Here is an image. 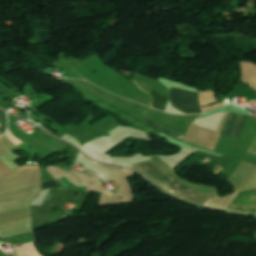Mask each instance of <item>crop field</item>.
Wrapping results in <instances>:
<instances>
[{"instance_id": "crop-field-5", "label": "crop field", "mask_w": 256, "mask_h": 256, "mask_svg": "<svg viewBox=\"0 0 256 256\" xmlns=\"http://www.w3.org/2000/svg\"><path fill=\"white\" fill-rule=\"evenodd\" d=\"M175 194L186 200L205 204V205H207L210 201L219 198V197L211 196V195L193 191V190L179 191Z\"/></svg>"}, {"instance_id": "crop-field-3", "label": "crop field", "mask_w": 256, "mask_h": 256, "mask_svg": "<svg viewBox=\"0 0 256 256\" xmlns=\"http://www.w3.org/2000/svg\"><path fill=\"white\" fill-rule=\"evenodd\" d=\"M255 196L256 190L241 192L228 208L245 211ZM246 211L256 213V198Z\"/></svg>"}, {"instance_id": "crop-field-1", "label": "crop field", "mask_w": 256, "mask_h": 256, "mask_svg": "<svg viewBox=\"0 0 256 256\" xmlns=\"http://www.w3.org/2000/svg\"><path fill=\"white\" fill-rule=\"evenodd\" d=\"M170 101L186 114L199 113L198 93L170 88Z\"/></svg>"}, {"instance_id": "crop-field-6", "label": "crop field", "mask_w": 256, "mask_h": 256, "mask_svg": "<svg viewBox=\"0 0 256 256\" xmlns=\"http://www.w3.org/2000/svg\"><path fill=\"white\" fill-rule=\"evenodd\" d=\"M14 251L17 256H41L37 252L34 243L26 244L24 246H15Z\"/></svg>"}, {"instance_id": "crop-field-2", "label": "crop field", "mask_w": 256, "mask_h": 256, "mask_svg": "<svg viewBox=\"0 0 256 256\" xmlns=\"http://www.w3.org/2000/svg\"><path fill=\"white\" fill-rule=\"evenodd\" d=\"M134 167L140 170L141 172L145 173L146 175H148L160 186H162L164 189L172 193L182 189H188L178 184L177 182H175L174 180H172L171 178H169L168 176H166L165 174H163L162 172H160L159 170H157L156 168H154L148 163L140 164Z\"/></svg>"}, {"instance_id": "crop-field-8", "label": "crop field", "mask_w": 256, "mask_h": 256, "mask_svg": "<svg viewBox=\"0 0 256 256\" xmlns=\"http://www.w3.org/2000/svg\"><path fill=\"white\" fill-rule=\"evenodd\" d=\"M49 187H62L55 179L42 182L41 190Z\"/></svg>"}, {"instance_id": "crop-field-10", "label": "crop field", "mask_w": 256, "mask_h": 256, "mask_svg": "<svg viewBox=\"0 0 256 256\" xmlns=\"http://www.w3.org/2000/svg\"><path fill=\"white\" fill-rule=\"evenodd\" d=\"M104 193H106V194H108V195H110V196L112 195V194H110V193H108V192H106V191H105Z\"/></svg>"}, {"instance_id": "crop-field-11", "label": "crop field", "mask_w": 256, "mask_h": 256, "mask_svg": "<svg viewBox=\"0 0 256 256\" xmlns=\"http://www.w3.org/2000/svg\"><path fill=\"white\" fill-rule=\"evenodd\" d=\"M62 179V178H61ZM63 180V179H62ZM64 181V180H63ZM65 182V181H64ZM66 183V182H65ZM69 187H71L68 183H66Z\"/></svg>"}, {"instance_id": "crop-field-7", "label": "crop field", "mask_w": 256, "mask_h": 256, "mask_svg": "<svg viewBox=\"0 0 256 256\" xmlns=\"http://www.w3.org/2000/svg\"><path fill=\"white\" fill-rule=\"evenodd\" d=\"M145 122H147L148 124H150V125H152V126L158 128V129L162 130L163 132H165V133H167V134H169V135H171V136H173V137H175V138L181 139V137H182V135H180V134H178V133H175V132H173V131H170V130H168V129H166V128H163L164 126L161 127V126H159V125H157V124L151 122V121L148 120V119L145 120ZM182 138H183V137H182Z\"/></svg>"}, {"instance_id": "crop-field-4", "label": "crop field", "mask_w": 256, "mask_h": 256, "mask_svg": "<svg viewBox=\"0 0 256 256\" xmlns=\"http://www.w3.org/2000/svg\"><path fill=\"white\" fill-rule=\"evenodd\" d=\"M245 118V115L231 113L223 132V136L236 140L241 131Z\"/></svg>"}, {"instance_id": "crop-field-9", "label": "crop field", "mask_w": 256, "mask_h": 256, "mask_svg": "<svg viewBox=\"0 0 256 256\" xmlns=\"http://www.w3.org/2000/svg\"><path fill=\"white\" fill-rule=\"evenodd\" d=\"M248 152L256 154V136L254 137V139L252 141V144H251V146L248 149Z\"/></svg>"}]
</instances>
